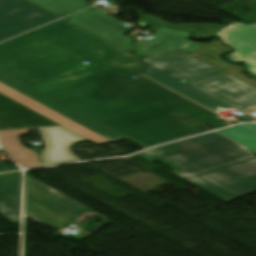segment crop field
I'll return each instance as SVG.
<instances>
[{"instance_id":"crop-field-13","label":"crop field","mask_w":256,"mask_h":256,"mask_svg":"<svg viewBox=\"0 0 256 256\" xmlns=\"http://www.w3.org/2000/svg\"><path fill=\"white\" fill-rule=\"evenodd\" d=\"M21 172L0 175V215L20 223Z\"/></svg>"},{"instance_id":"crop-field-2","label":"crop field","mask_w":256,"mask_h":256,"mask_svg":"<svg viewBox=\"0 0 256 256\" xmlns=\"http://www.w3.org/2000/svg\"><path fill=\"white\" fill-rule=\"evenodd\" d=\"M138 155L151 163L160 161L174 168L171 173L229 203L237 198L195 175L254 157V152L217 131Z\"/></svg>"},{"instance_id":"crop-field-18","label":"crop field","mask_w":256,"mask_h":256,"mask_svg":"<svg viewBox=\"0 0 256 256\" xmlns=\"http://www.w3.org/2000/svg\"><path fill=\"white\" fill-rule=\"evenodd\" d=\"M15 171V169L9 165L0 162V173Z\"/></svg>"},{"instance_id":"crop-field-17","label":"crop field","mask_w":256,"mask_h":256,"mask_svg":"<svg viewBox=\"0 0 256 256\" xmlns=\"http://www.w3.org/2000/svg\"><path fill=\"white\" fill-rule=\"evenodd\" d=\"M220 132L256 152V125H242Z\"/></svg>"},{"instance_id":"crop-field-10","label":"crop field","mask_w":256,"mask_h":256,"mask_svg":"<svg viewBox=\"0 0 256 256\" xmlns=\"http://www.w3.org/2000/svg\"><path fill=\"white\" fill-rule=\"evenodd\" d=\"M190 34L188 32L162 27L152 34L156 37L135 45V49L138 52L135 56L143 59L172 46L192 55L205 44L187 40L191 37Z\"/></svg>"},{"instance_id":"crop-field-8","label":"crop field","mask_w":256,"mask_h":256,"mask_svg":"<svg viewBox=\"0 0 256 256\" xmlns=\"http://www.w3.org/2000/svg\"><path fill=\"white\" fill-rule=\"evenodd\" d=\"M0 82L19 91L20 93L32 98L33 100L45 105L46 107L60 113L61 115L73 120L74 122L86 127L87 129L99 134L100 136L116 142L126 139L125 137L109 130L108 128L90 120L89 118L71 110L70 108L50 99L49 97L31 89L30 87L12 79L11 77L0 72Z\"/></svg>"},{"instance_id":"crop-field-11","label":"crop field","mask_w":256,"mask_h":256,"mask_svg":"<svg viewBox=\"0 0 256 256\" xmlns=\"http://www.w3.org/2000/svg\"><path fill=\"white\" fill-rule=\"evenodd\" d=\"M59 125L0 94V130Z\"/></svg>"},{"instance_id":"crop-field-14","label":"crop field","mask_w":256,"mask_h":256,"mask_svg":"<svg viewBox=\"0 0 256 256\" xmlns=\"http://www.w3.org/2000/svg\"><path fill=\"white\" fill-rule=\"evenodd\" d=\"M59 17L91 6L82 0H27ZM67 16V15H66Z\"/></svg>"},{"instance_id":"crop-field-9","label":"crop field","mask_w":256,"mask_h":256,"mask_svg":"<svg viewBox=\"0 0 256 256\" xmlns=\"http://www.w3.org/2000/svg\"><path fill=\"white\" fill-rule=\"evenodd\" d=\"M253 27L232 23L216 36L236 50L233 55L229 56L230 59L234 62H245L249 71L256 76V27Z\"/></svg>"},{"instance_id":"crop-field-12","label":"crop field","mask_w":256,"mask_h":256,"mask_svg":"<svg viewBox=\"0 0 256 256\" xmlns=\"http://www.w3.org/2000/svg\"><path fill=\"white\" fill-rule=\"evenodd\" d=\"M148 76L164 86L170 88L171 90L213 110L216 112L215 108L223 107L225 109L230 108L229 106L223 104L222 102L208 96L207 94L193 88L192 86L150 66L147 71L143 74Z\"/></svg>"},{"instance_id":"crop-field-3","label":"crop field","mask_w":256,"mask_h":256,"mask_svg":"<svg viewBox=\"0 0 256 256\" xmlns=\"http://www.w3.org/2000/svg\"><path fill=\"white\" fill-rule=\"evenodd\" d=\"M193 87L246 113L256 108V89L174 47L143 59Z\"/></svg>"},{"instance_id":"crop-field-19","label":"crop field","mask_w":256,"mask_h":256,"mask_svg":"<svg viewBox=\"0 0 256 256\" xmlns=\"http://www.w3.org/2000/svg\"><path fill=\"white\" fill-rule=\"evenodd\" d=\"M139 16H140V14L138 13V11H135ZM140 22H143V23H147V24H149V25H151V26H155V27H158L159 25H154V24H152V23H149V22H147L145 19H143L141 16H140V20H139Z\"/></svg>"},{"instance_id":"crop-field-6","label":"crop field","mask_w":256,"mask_h":256,"mask_svg":"<svg viewBox=\"0 0 256 256\" xmlns=\"http://www.w3.org/2000/svg\"><path fill=\"white\" fill-rule=\"evenodd\" d=\"M56 19L24 0H0V41Z\"/></svg>"},{"instance_id":"crop-field-7","label":"crop field","mask_w":256,"mask_h":256,"mask_svg":"<svg viewBox=\"0 0 256 256\" xmlns=\"http://www.w3.org/2000/svg\"><path fill=\"white\" fill-rule=\"evenodd\" d=\"M199 177L240 197L256 191V158Z\"/></svg>"},{"instance_id":"crop-field-21","label":"crop field","mask_w":256,"mask_h":256,"mask_svg":"<svg viewBox=\"0 0 256 256\" xmlns=\"http://www.w3.org/2000/svg\"><path fill=\"white\" fill-rule=\"evenodd\" d=\"M252 26L256 27V24H254V25H252Z\"/></svg>"},{"instance_id":"crop-field-4","label":"crop field","mask_w":256,"mask_h":256,"mask_svg":"<svg viewBox=\"0 0 256 256\" xmlns=\"http://www.w3.org/2000/svg\"><path fill=\"white\" fill-rule=\"evenodd\" d=\"M29 197L33 198L27 200ZM68 197V196H67ZM26 176L25 215L59 230L87 212L88 208Z\"/></svg>"},{"instance_id":"crop-field-1","label":"crop field","mask_w":256,"mask_h":256,"mask_svg":"<svg viewBox=\"0 0 256 256\" xmlns=\"http://www.w3.org/2000/svg\"><path fill=\"white\" fill-rule=\"evenodd\" d=\"M148 65L62 20L0 44L1 72L144 148L228 125L140 76Z\"/></svg>"},{"instance_id":"crop-field-5","label":"crop field","mask_w":256,"mask_h":256,"mask_svg":"<svg viewBox=\"0 0 256 256\" xmlns=\"http://www.w3.org/2000/svg\"><path fill=\"white\" fill-rule=\"evenodd\" d=\"M129 53H134L132 49L135 40L126 35L133 30L124 23L95 9L90 8L71 17L63 19Z\"/></svg>"},{"instance_id":"crop-field-20","label":"crop field","mask_w":256,"mask_h":256,"mask_svg":"<svg viewBox=\"0 0 256 256\" xmlns=\"http://www.w3.org/2000/svg\"><path fill=\"white\" fill-rule=\"evenodd\" d=\"M84 1L88 2V1H91V0H84Z\"/></svg>"},{"instance_id":"crop-field-15","label":"crop field","mask_w":256,"mask_h":256,"mask_svg":"<svg viewBox=\"0 0 256 256\" xmlns=\"http://www.w3.org/2000/svg\"><path fill=\"white\" fill-rule=\"evenodd\" d=\"M220 54V52L206 45L203 49H201L192 56L201 59L224 71L225 73L245 82L246 79L240 74V72L243 71L242 68L222 62L218 58Z\"/></svg>"},{"instance_id":"crop-field-16","label":"crop field","mask_w":256,"mask_h":256,"mask_svg":"<svg viewBox=\"0 0 256 256\" xmlns=\"http://www.w3.org/2000/svg\"><path fill=\"white\" fill-rule=\"evenodd\" d=\"M149 21L157 24H164L171 27L183 28L188 31H195V39H201L206 37H212L220 30H222L225 25H217V24H183V25H174L167 21L161 20L152 15H144Z\"/></svg>"}]
</instances>
